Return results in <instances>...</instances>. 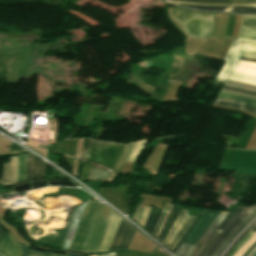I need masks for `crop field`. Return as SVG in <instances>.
<instances>
[{
    "label": "crop field",
    "instance_id": "crop-field-5",
    "mask_svg": "<svg viewBox=\"0 0 256 256\" xmlns=\"http://www.w3.org/2000/svg\"><path fill=\"white\" fill-rule=\"evenodd\" d=\"M228 212H220V214L215 218L209 228L201 236L197 244L194 246L192 251L188 256H202L207 248L212 244L220 232L214 231L216 227L221 223Z\"/></svg>",
    "mask_w": 256,
    "mask_h": 256
},
{
    "label": "crop field",
    "instance_id": "crop-field-12",
    "mask_svg": "<svg viewBox=\"0 0 256 256\" xmlns=\"http://www.w3.org/2000/svg\"><path fill=\"white\" fill-rule=\"evenodd\" d=\"M256 216V206L252 210L251 214L227 237V239L219 246L212 256H219L231 240L238 235Z\"/></svg>",
    "mask_w": 256,
    "mask_h": 256
},
{
    "label": "crop field",
    "instance_id": "crop-field-23",
    "mask_svg": "<svg viewBox=\"0 0 256 256\" xmlns=\"http://www.w3.org/2000/svg\"><path fill=\"white\" fill-rule=\"evenodd\" d=\"M253 235H254V233H252V232H249L248 234H246L245 237L243 238V240H242L237 246H235V248L230 252V254H229L228 256H234V254L237 252V250H238L239 248H241V247L244 245V243H245L250 237H252Z\"/></svg>",
    "mask_w": 256,
    "mask_h": 256
},
{
    "label": "crop field",
    "instance_id": "crop-field-37",
    "mask_svg": "<svg viewBox=\"0 0 256 256\" xmlns=\"http://www.w3.org/2000/svg\"><path fill=\"white\" fill-rule=\"evenodd\" d=\"M4 233H5V232L2 230V228H1V226H0V240L2 239Z\"/></svg>",
    "mask_w": 256,
    "mask_h": 256
},
{
    "label": "crop field",
    "instance_id": "crop-field-19",
    "mask_svg": "<svg viewBox=\"0 0 256 256\" xmlns=\"http://www.w3.org/2000/svg\"><path fill=\"white\" fill-rule=\"evenodd\" d=\"M149 210L150 208H147V207L136 206L135 212L132 218H134L140 224L144 225Z\"/></svg>",
    "mask_w": 256,
    "mask_h": 256
},
{
    "label": "crop field",
    "instance_id": "crop-field-40",
    "mask_svg": "<svg viewBox=\"0 0 256 256\" xmlns=\"http://www.w3.org/2000/svg\"><path fill=\"white\" fill-rule=\"evenodd\" d=\"M251 231L256 233V225H255V227Z\"/></svg>",
    "mask_w": 256,
    "mask_h": 256
},
{
    "label": "crop field",
    "instance_id": "crop-field-24",
    "mask_svg": "<svg viewBox=\"0 0 256 256\" xmlns=\"http://www.w3.org/2000/svg\"><path fill=\"white\" fill-rule=\"evenodd\" d=\"M192 246L182 244L175 254L178 256H187Z\"/></svg>",
    "mask_w": 256,
    "mask_h": 256
},
{
    "label": "crop field",
    "instance_id": "crop-field-11",
    "mask_svg": "<svg viewBox=\"0 0 256 256\" xmlns=\"http://www.w3.org/2000/svg\"><path fill=\"white\" fill-rule=\"evenodd\" d=\"M238 37L256 40V17L243 16Z\"/></svg>",
    "mask_w": 256,
    "mask_h": 256
},
{
    "label": "crop field",
    "instance_id": "crop-field-3",
    "mask_svg": "<svg viewBox=\"0 0 256 256\" xmlns=\"http://www.w3.org/2000/svg\"><path fill=\"white\" fill-rule=\"evenodd\" d=\"M254 207V206H251ZM251 207H234L232 211H230L227 217L234 219V217L243 209V208H251ZM251 209H243L234 220L225 217L222 223L217 227L216 230L222 231L218 238L214 241V243L210 246L205 254L212 255L214 251L218 248V246L226 239V237L247 217L250 213ZM204 256H207L205 255Z\"/></svg>",
    "mask_w": 256,
    "mask_h": 256
},
{
    "label": "crop field",
    "instance_id": "crop-field-7",
    "mask_svg": "<svg viewBox=\"0 0 256 256\" xmlns=\"http://www.w3.org/2000/svg\"><path fill=\"white\" fill-rule=\"evenodd\" d=\"M218 213L219 212L203 210L201 213V215L204 214L203 217L200 219V221L197 223L194 229L190 232V234L184 241V244L195 245L199 237L208 228V226L211 224L214 218L218 215Z\"/></svg>",
    "mask_w": 256,
    "mask_h": 256
},
{
    "label": "crop field",
    "instance_id": "crop-field-20",
    "mask_svg": "<svg viewBox=\"0 0 256 256\" xmlns=\"http://www.w3.org/2000/svg\"><path fill=\"white\" fill-rule=\"evenodd\" d=\"M17 156L10 158L9 185L17 183Z\"/></svg>",
    "mask_w": 256,
    "mask_h": 256
},
{
    "label": "crop field",
    "instance_id": "crop-field-15",
    "mask_svg": "<svg viewBox=\"0 0 256 256\" xmlns=\"http://www.w3.org/2000/svg\"><path fill=\"white\" fill-rule=\"evenodd\" d=\"M163 209L151 208L144 227L152 234L156 228L157 222L162 214Z\"/></svg>",
    "mask_w": 256,
    "mask_h": 256
},
{
    "label": "crop field",
    "instance_id": "crop-field-39",
    "mask_svg": "<svg viewBox=\"0 0 256 256\" xmlns=\"http://www.w3.org/2000/svg\"><path fill=\"white\" fill-rule=\"evenodd\" d=\"M98 256H115V253H110V254H107V255H98Z\"/></svg>",
    "mask_w": 256,
    "mask_h": 256
},
{
    "label": "crop field",
    "instance_id": "crop-field-18",
    "mask_svg": "<svg viewBox=\"0 0 256 256\" xmlns=\"http://www.w3.org/2000/svg\"><path fill=\"white\" fill-rule=\"evenodd\" d=\"M214 103L215 104H220V105H225V106L236 107V108H240V109H243V110H247V111L256 113V107L249 106V105H244V104H240V103H235V102L225 101V100H219V99H216Z\"/></svg>",
    "mask_w": 256,
    "mask_h": 256
},
{
    "label": "crop field",
    "instance_id": "crop-field-17",
    "mask_svg": "<svg viewBox=\"0 0 256 256\" xmlns=\"http://www.w3.org/2000/svg\"><path fill=\"white\" fill-rule=\"evenodd\" d=\"M27 154L18 156V183L26 181Z\"/></svg>",
    "mask_w": 256,
    "mask_h": 256
},
{
    "label": "crop field",
    "instance_id": "crop-field-25",
    "mask_svg": "<svg viewBox=\"0 0 256 256\" xmlns=\"http://www.w3.org/2000/svg\"><path fill=\"white\" fill-rule=\"evenodd\" d=\"M256 240V234L235 254V256H242V254L249 248V246Z\"/></svg>",
    "mask_w": 256,
    "mask_h": 256
},
{
    "label": "crop field",
    "instance_id": "crop-field-43",
    "mask_svg": "<svg viewBox=\"0 0 256 256\" xmlns=\"http://www.w3.org/2000/svg\"><path fill=\"white\" fill-rule=\"evenodd\" d=\"M255 254H256V251H254V252H253V254H252L251 256H255Z\"/></svg>",
    "mask_w": 256,
    "mask_h": 256
},
{
    "label": "crop field",
    "instance_id": "crop-field-26",
    "mask_svg": "<svg viewBox=\"0 0 256 256\" xmlns=\"http://www.w3.org/2000/svg\"><path fill=\"white\" fill-rule=\"evenodd\" d=\"M201 218V216H198L196 218V220L193 222V224L190 226V228L188 229V231L185 233L184 237L179 241V243L176 245L175 249L173 250L174 252H176V250L180 247V245L182 244V242L184 241V239L186 238V236L189 234V232L192 230V228L196 225V223L198 222V220Z\"/></svg>",
    "mask_w": 256,
    "mask_h": 256
},
{
    "label": "crop field",
    "instance_id": "crop-field-9",
    "mask_svg": "<svg viewBox=\"0 0 256 256\" xmlns=\"http://www.w3.org/2000/svg\"><path fill=\"white\" fill-rule=\"evenodd\" d=\"M145 142L146 140L126 144L113 170L120 173L126 161L134 162Z\"/></svg>",
    "mask_w": 256,
    "mask_h": 256
},
{
    "label": "crop field",
    "instance_id": "crop-field-44",
    "mask_svg": "<svg viewBox=\"0 0 256 256\" xmlns=\"http://www.w3.org/2000/svg\"><path fill=\"white\" fill-rule=\"evenodd\" d=\"M239 39V38H238ZM243 40V39H242ZM251 41V40H250Z\"/></svg>",
    "mask_w": 256,
    "mask_h": 256
},
{
    "label": "crop field",
    "instance_id": "crop-field-38",
    "mask_svg": "<svg viewBox=\"0 0 256 256\" xmlns=\"http://www.w3.org/2000/svg\"><path fill=\"white\" fill-rule=\"evenodd\" d=\"M240 60H243V61H251V62H256V60H252V59H245V58H241Z\"/></svg>",
    "mask_w": 256,
    "mask_h": 256
},
{
    "label": "crop field",
    "instance_id": "crop-field-36",
    "mask_svg": "<svg viewBox=\"0 0 256 256\" xmlns=\"http://www.w3.org/2000/svg\"><path fill=\"white\" fill-rule=\"evenodd\" d=\"M223 88H225V89H231V90H237V91H241V92H244V93H249V94L256 95V93L249 92V91H243V90L233 89V88H229V87H225V86H223Z\"/></svg>",
    "mask_w": 256,
    "mask_h": 256
},
{
    "label": "crop field",
    "instance_id": "crop-field-2",
    "mask_svg": "<svg viewBox=\"0 0 256 256\" xmlns=\"http://www.w3.org/2000/svg\"><path fill=\"white\" fill-rule=\"evenodd\" d=\"M123 146L91 140L86 160L113 169Z\"/></svg>",
    "mask_w": 256,
    "mask_h": 256
},
{
    "label": "crop field",
    "instance_id": "crop-field-29",
    "mask_svg": "<svg viewBox=\"0 0 256 256\" xmlns=\"http://www.w3.org/2000/svg\"><path fill=\"white\" fill-rule=\"evenodd\" d=\"M255 224H256V222L253 223V224L237 239V241L231 246V248L225 253L224 256H226V255L233 249V247L235 246V244L238 243V242L243 238V236H244Z\"/></svg>",
    "mask_w": 256,
    "mask_h": 256
},
{
    "label": "crop field",
    "instance_id": "crop-field-10",
    "mask_svg": "<svg viewBox=\"0 0 256 256\" xmlns=\"http://www.w3.org/2000/svg\"><path fill=\"white\" fill-rule=\"evenodd\" d=\"M45 162L28 154L27 179L44 178Z\"/></svg>",
    "mask_w": 256,
    "mask_h": 256
},
{
    "label": "crop field",
    "instance_id": "crop-field-1",
    "mask_svg": "<svg viewBox=\"0 0 256 256\" xmlns=\"http://www.w3.org/2000/svg\"><path fill=\"white\" fill-rule=\"evenodd\" d=\"M170 14L187 36L208 38L212 32L213 14L184 8H171Z\"/></svg>",
    "mask_w": 256,
    "mask_h": 256
},
{
    "label": "crop field",
    "instance_id": "crop-field-16",
    "mask_svg": "<svg viewBox=\"0 0 256 256\" xmlns=\"http://www.w3.org/2000/svg\"><path fill=\"white\" fill-rule=\"evenodd\" d=\"M197 3L256 4V0H176Z\"/></svg>",
    "mask_w": 256,
    "mask_h": 256
},
{
    "label": "crop field",
    "instance_id": "crop-field-22",
    "mask_svg": "<svg viewBox=\"0 0 256 256\" xmlns=\"http://www.w3.org/2000/svg\"><path fill=\"white\" fill-rule=\"evenodd\" d=\"M171 206L172 205H169V204L166 205L165 210H164V212H163V214H162V216H161V218H160V220L158 222L157 228H156V230H155L153 235L157 236L158 231H159L160 227L162 226V224L164 223V221H165V219H166V217H167V215H168V213L170 211Z\"/></svg>",
    "mask_w": 256,
    "mask_h": 256
},
{
    "label": "crop field",
    "instance_id": "crop-field-8",
    "mask_svg": "<svg viewBox=\"0 0 256 256\" xmlns=\"http://www.w3.org/2000/svg\"><path fill=\"white\" fill-rule=\"evenodd\" d=\"M136 230H134L132 227H130L128 224L122 220L115 236L112 242V245L109 249V251L113 250H120L125 249L128 247L134 233Z\"/></svg>",
    "mask_w": 256,
    "mask_h": 256
},
{
    "label": "crop field",
    "instance_id": "crop-field-35",
    "mask_svg": "<svg viewBox=\"0 0 256 256\" xmlns=\"http://www.w3.org/2000/svg\"><path fill=\"white\" fill-rule=\"evenodd\" d=\"M29 254V250H27L26 248L22 247L20 256H28Z\"/></svg>",
    "mask_w": 256,
    "mask_h": 256
},
{
    "label": "crop field",
    "instance_id": "crop-field-13",
    "mask_svg": "<svg viewBox=\"0 0 256 256\" xmlns=\"http://www.w3.org/2000/svg\"><path fill=\"white\" fill-rule=\"evenodd\" d=\"M186 6V5H180ZM193 9L199 10H211V11H226L233 13H246V14H255L256 15V7H207V6H187Z\"/></svg>",
    "mask_w": 256,
    "mask_h": 256
},
{
    "label": "crop field",
    "instance_id": "crop-field-21",
    "mask_svg": "<svg viewBox=\"0 0 256 256\" xmlns=\"http://www.w3.org/2000/svg\"><path fill=\"white\" fill-rule=\"evenodd\" d=\"M179 212H180V210L175 209V211H174V213H173V215H172V217H171V219H170V221H169V223H168V225H167V227H166V229H165V231H164V233H163V235L160 239L162 242L166 238V236L168 235V232H169L171 226L173 225L174 221L176 220Z\"/></svg>",
    "mask_w": 256,
    "mask_h": 256
},
{
    "label": "crop field",
    "instance_id": "crop-field-42",
    "mask_svg": "<svg viewBox=\"0 0 256 256\" xmlns=\"http://www.w3.org/2000/svg\"><path fill=\"white\" fill-rule=\"evenodd\" d=\"M255 249H256V247L250 252V254L248 256H250Z\"/></svg>",
    "mask_w": 256,
    "mask_h": 256
},
{
    "label": "crop field",
    "instance_id": "crop-field-41",
    "mask_svg": "<svg viewBox=\"0 0 256 256\" xmlns=\"http://www.w3.org/2000/svg\"><path fill=\"white\" fill-rule=\"evenodd\" d=\"M51 256H65V255H55V254H51Z\"/></svg>",
    "mask_w": 256,
    "mask_h": 256
},
{
    "label": "crop field",
    "instance_id": "crop-field-30",
    "mask_svg": "<svg viewBox=\"0 0 256 256\" xmlns=\"http://www.w3.org/2000/svg\"><path fill=\"white\" fill-rule=\"evenodd\" d=\"M23 152H26V151L20 149L19 147H17L16 145H14V144L11 142V145H10V153H11V154L23 153Z\"/></svg>",
    "mask_w": 256,
    "mask_h": 256
},
{
    "label": "crop field",
    "instance_id": "crop-field-31",
    "mask_svg": "<svg viewBox=\"0 0 256 256\" xmlns=\"http://www.w3.org/2000/svg\"><path fill=\"white\" fill-rule=\"evenodd\" d=\"M175 207H176V206H174V205L172 206L171 211H170V213H169V216H168L167 220L165 221V223L163 224V226H162V228H161V230H160V232H159L157 238H160V236L162 235V233H163V231H164V229H165V226H166V224H167V222H168V220H169V218H170L172 212L174 211Z\"/></svg>",
    "mask_w": 256,
    "mask_h": 256
},
{
    "label": "crop field",
    "instance_id": "crop-field-32",
    "mask_svg": "<svg viewBox=\"0 0 256 256\" xmlns=\"http://www.w3.org/2000/svg\"><path fill=\"white\" fill-rule=\"evenodd\" d=\"M90 166L91 165H89V164H85V168H84L82 179H87L88 173H89V170H90Z\"/></svg>",
    "mask_w": 256,
    "mask_h": 256
},
{
    "label": "crop field",
    "instance_id": "crop-field-28",
    "mask_svg": "<svg viewBox=\"0 0 256 256\" xmlns=\"http://www.w3.org/2000/svg\"><path fill=\"white\" fill-rule=\"evenodd\" d=\"M173 3L178 4H195V5H217V6H256V5H220V4H196V3H185V2H176V1H170Z\"/></svg>",
    "mask_w": 256,
    "mask_h": 256
},
{
    "label": "crop field",
    "instance_id": "crop-field-14",
    "mask_svg": "<svg viewBox=\"0 0 256 256\" xmlns=\"http://www.w3.org/2000/svg\"><path fill=\"white\" fill-rule=\"evenodd\" d=\"M115 176H116V174H114L110 171H107L103 168L92 165L88 179L102 180V181H113Z\"/></svg>",
    "mask_w": 256,
    "mask_h": 256
},
{
    "label": "crop field",
    "instance_id": "crop-field-4",
    "mask_svg": "<svg viewBox=\"0 0 256 256\" xmlns=\"http://www.w3.org/2000/svg\"><path fill=\"white\" fill-rule=\"evenodd\" d=\"M99 203L95 201H90L88 204L81 220L78 226V229L76 231L75 237L73 239L72 245L70 247V251H80L83 241L85 239V236L88 232V229L94 219V216L97 212V209L99 207Z\"/></svg>",
    "mask_w": 256,
    "mask_h": 256
},
{
    "label": "crop field",
    "instance_id": "crop-field-33",
    "mask_svg": "<svg viewBox=\"0 0 256 256\" xmlns=\"http://www.w3.org/2000/svg\"><path fill=\"white\" fill-rule=\"evenodd\" d=\"M29 256H50V254L38 253V252H32V251H30Z\"/></svg>",
    "mask_w": 256,
    "mask_h": 256
},
{
    "label": "crop field",
    "instance_id": "crop-field-6",
    "mask_svg": "<svg viewBox=\"0 0 256 256\" xmlns=\"http://www.w3.org/2000/svg\"><path fill=\"white\" fill-rule=\"evenodd\" d=\"M187 211L182 210L176 222L171 228V231L168 237L163 242L166 246H168L171 250L177 244V242L181 239L184 232L187 231L191 223L194 221L196 217H188L186 214Z\"/></svg>",
    "mask_w": 256,
    "mask_h": 256
},
{
    "label": "crop field",
    "instance_id": "crop-field-27",
    "mask_svg": "<svg viewBox=\"0 0 256 256\" xmlns=\"http://www.w3.org/2000/svg\"><path fill=\"white\" fill-rule=\"evenodd\" d=\"M1 184L8 185V164H4Z\"/></svg>",
    "mask_w": 256,
    "mask_h": 256
},
{
    "label": "crop field",
    "instance_id": "crop-field-34",
    "mask_svg": "<svg viewBox=\"0 0 256 256\" xmlns=\"http://www.w3.org/2000/svg\"><path fill=\"white\" fill-rule=\"evenodd\" d=\"M242 57L256 59V54L242 53Z\"/></svg>",
    "mask_w": 256,
    "mask_h": 256
}]
</instances>
